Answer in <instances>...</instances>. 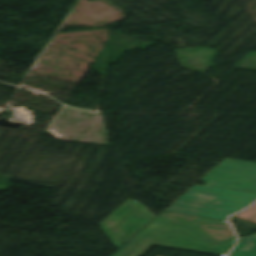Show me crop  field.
I'll return each instance as SVG.
<instances>
[{
	"label": "crop field",
	"instance_id": "1",
	"mask_svg": "<svg viewBox=\"0 0 256 256\" xmlns=\"http://www.w3.org/2000/svg\"><path fill=\"white\" fill-rule=\"evenodd\" d=\"M165 211L226 220L256 200V163L225 158Z\"/></svg>",
	"mask_w": 256,
	"mask_h": 256
},
{
	"label": "crop field",
	"instance_id": "2",
	"mask_svg": "<svg viewBox=\"0 0 256 256\" xmlns=\"http://www.w3.org/2000/svg\"><path fill=\"white\" fill-rule=\"evenodd\" d=\"M235 240L227 222L165 212L114 256H140L152 245L226 256Z\"/></svg>",
	"mask_w": 256,
	"mask_h": 256
},
{
	"label": "crop field",
	"instance_id": "3",
	"mask_svg": "<svg viewBox=\"0 0 256 256\" xmlns=\"http://www.w3.org/2000/svg\"><path fill=\"white\" fill-rule=\"evenodd\" d=\"M155 217L146 206L129 198L100 225L118 250Z\"/></svg>",
	"mask_w": 256,
	"mask_h": 256
},
{
	"label": "crop field",
	"instance_id": "4",
	"mask_svg": "<svg viewBox=\"0 0 256 256\" xmlns=\"http://www.w3.org/2000/svg\"><path fill=\"white\" fill-rule=\"evenodd\" d=\"M230 256H256V234L239 239Z\"/></svg>",
	"mask_w": 256,
	"mask_h": 256
},
{
	"label": "crop field",
	"instance_id": "5",
	"mask_svg": "<svg viewBox=\"0 0 256 256\" xmlns=\"http://www.w3.org/2000/svg\"><path fill=\"white\" fill-rule=\"evenodd\" d=\"M255 214H256V205L251 207L250 209L246 210L242 214L238 215V217L247 219Z\"/></svg>",
	"mask_w": 256,
	"mask_h": 256
},
{
	"label": "crop field",
	"instance_id": "6",
	"mask_svg": "<svg viewBox=\"0 0 256 256\" xmlns=\"http://www.w3.org/2000/svg\"><path fill=\"white\" fill-rule=\"evenodd\" d=\"M251 220L256 221V216L254 218H252Z\"/></svg>",
	"mask_w": 256,
	"mask_h": 256
}]
</instances>
